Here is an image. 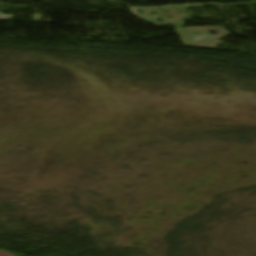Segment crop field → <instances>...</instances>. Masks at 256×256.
I'll return each instance as SVG.
<instances>
[{
  "label": "crop field",
  "mask_w": 256,
  "mask_h": 256,
  "mask_svg": "<svg viewBox=\"0 0 256 256\" xmlns=\"http://www.w3.org/2000/svg\"><path fill=\"white\" fill-rule=\"evenodd\" d=\"M0 256H14V255H11V254H9V253L6 252V251L0 250Z\"/></svg>",
  "instance_id": "obj_1"
}]
</instances>
